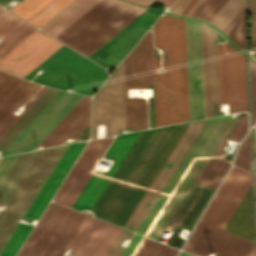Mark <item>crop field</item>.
I'll return each instance as SVG.
<instances>
[{
    "instance_id": "8a807250",
    "label": "crop field",
    "mask_w": 256,
    "mask_h": 256,
    "mask_svg": "<svg viewBox=\"0 0 256 256\" xmlns=\"http://www.w3.org/2000/svg\"><path fill=\"white\" fill-rule=\"evenodd\" d=\"M189 124L142 131L93 207L95 216L124 227Z\"/></svg>"
},
{
    "instance_id": "ac0d7876",
    "label": "crop field",
    "mask_w": 256,
    "mask_h": 256,
    "mask_svg": "<svg viewBox=\"0 0 256 256\" xmlns=\"http://www.w3.org/2000/svg\"><path fill=\"white\" fill-rule=\"evenodd\" d=\"M154 88L156 126L189 120L184 20L161 16L154 24ZM165 67V73H156ZM164 72V68H157Z\"/></svg>"
},
{
    "instance_id": "34b2d1b8",
    "label": "crop field",
    "mask_w": 256,
    "mask_h": 256,
    "mask_svg": "<svg viewBox=\"0 0 256 256\" xmlns=\"http://www.w3.org/2000/svg\"><path fill=\"white\" fill-rule=\"evenodd\" d=\"M230 116L206 119L136 232L158 240L233 122Z\"/></svg>"
},
{
    "instance_id": "412701ff",
    "label": "crop field",
    "mask_w": 256,
    "mask_h": 256,
    "mask_svg": "<svg viewBox=\"0 0 256 256\" xmlns=\"http://www.w3.org/2000/svg\"><path fill=\"white\" fill-rule=\"evenodd\" d=\"M66 146L19 154L0 184V202L8 204L0 209V250L23 217Z\"/></svg>"
},
{
    "instance_id": "f4fd0767",
    "label": "crop field",
    "mask_w": 256,
    "mask_h": 256,
    "mask_svg": "<svg viewBox=\"0 0 256 256\" xmlns=\"http://www.w3.org/2000/svg\"><path fill=\"white\" fill-rule=\"evenodd\" d=\"M145 10L121 0H102L54 38L88 57Z\"/></svg>"
},
{
    "instance_id": "dd49c442",
    "label": "crop field",
    "mask_w": 256,
    "mask_h": 256,
    "mask_svg": "<svg viewBox=\"0 0 256 256\" xmlns=\"http://www.w3.org/2000/svg\"><path fill=\"white\" fill-rule=\"evenodd\" d=\"M40 66L45 70L33 81L64 90L68 86L80 88L83 90L71 87L67 90L76 93L81 91L80 93L88 95H93L108 77L106 70L65 45ZM36 69L32 70L33 72L28 76L26 75L25 79L31 80L36 74Z\"/></svg>"
},
{
    "instance_id": "e52e79f7",
    "label": "crop field",
    "mask_w": 256,
    "mask_h": 256,
    "mask_svg": "<svg viewBox=\"0 0 256 256\" xmlns=\"http://www.w3.org/2000/svg\"><path fill=\"white\" fill-rule=\"evenodd\" d=\"M85 218L51 202L17 256H62Z\"/></svg>"
},
{
    "instance_id": "d8731c3e",
    "label": "crop field",
    "mask_w": 256,
    "mask_h": 256,
    "mask_svg": "<svg viewBox=\"0 0 256 256\" xmlns=\"http://www.w3.org/2000/svg\"><path fill=\"white\" fill-rule=\"evenodd\" d=\"M97 124H105L106 136L126 128L123 61L94 97L91 137H96Z\"/></svg>"
},
{
    "instance_id": "5a996713",
    "label": "crop field",
    "mask_w": 256,
    "mask_h": 256,
    "mask_svg": "<svg viewBox=\"0 0 256 256\" xmlns=\"http://www.w3.org/2000/svg\"><path fill=\"white\" fill-rule=\"evenodd\" d=\"M183 250L197 256H255L253 241L201 220Z\"/></svg>"
},
{
    "instance_id": "3316defc",
    "label": "crop field",
    "mask_w": 256,
    "mask_h": 256,
    "mask_svg": "<svg viewBox=\"0 0 256 256\" xmlns=\"http://www.w3.org/2000/svg\"><path fill=\"white\" fill-rule=\"evenodd\" d=\"M82 97L60 91L0 155L26 151L38 144Z\"/></svg>"
},
{
    "instance_id": "28ad6ade",
    "label": "crop field",
    "mask_w": 256,
    "mask_h": 256,
    "mask_svg": "<svg viewBox=\"0 0 256 256\" xmlns=\"http://www.w3.org/2000/svg\"><path fill=\"white\" fill-rule=\"evenodd\" d=\"M220 103H228L230 113L247 109L245 56L229 42L218 45Z\"/></svg>"
},
{
    "instance_id": "d1516ede",
    "label": "crop field",
    "mask_w": 256,
    "mask_h": 256,
    "mask_svg": "<svg viewBox=\"0 0 256 256\" xmlns=\"http://www.w3.org/2000/svg\"><path fill=\"white\" fill-rule=\"evenodd\" d=\"M63 45L36 29L0 59V69L24 78Z\"/></svg>"
},
{
    "instance_id": "22f410ed",
    "label": "crop field",
    "mask_w": 256,
    "mask_h": 256,
    "mask_svg": "<svg viewBox=\"0 0 256 256\" xmlns=\"http://www.w3.org/2000/svg\"><path fill=\"white\" fill-rule=\"evenodd\" d=\"M190 120L205 117L201 24L185 20Z\"/></svg>"
},
{
    "instance_id": "cbeb9de0",
    "label": "crop field",
    "mask_w": 256,
    "mask_h": 256,
    "mask_svg": "<svg viewBox=\"0 0 256 256\" xmlns=\"http://www.w3.org/2000/svg\"><path fill=\"white\" fill-rule=\"evenodd\" d=\"M125 84H147L145 37L124 59ZM127 88L147 85H125L126 103H146L142 98H127ZM127 128H147L146 104H126Z\"/></svg>"
},
{
    "instance_id": "5142ce71",
    "label": "crop field",
    "mask_w": 256,
    "mask_h": 256,
    "mask_svg": "<svg viewBox=\"0 0 256 256\" xmlns=\"http://www.w3.org/2000/svg\"><path fill=\"white\" fill-rule=\"evenodd\" d=\"M112 139L113 137H108L89 141L87 147L55 194L54 201L71 207Z\"/></svg>"
},
{
    "instance_id": "d9b57169",
    "label": "crop field",
    "mask_w": 256,
    "mask_h": 256,
    "mask_svg": "<svg viewBox=\"0 0 256 256\" xmlns=\"http://www.w3.org/2000/svg\"><path fill=\"white\" fill-rule=\"evenodd\" d=\"M159 14L148 9L88 58L103 67H115Z\"/></svg>"
},
{
    "instance_id": "733c2abd",
    "label": "crop field",
    "mask_w": 256,
    "mask_h": 256,
    "mask_svg": "<svg viewBox=\"0 0 256 256\" xmlns=\"http://www.w3.org/2000/svg\"><path fill=\"white\" fill-rule=\"evenodd\" d=\"M251 182V174L232 167L201 220L223 228Z\"/></svg>"
},
{
    "instance_id": "4a817a6b",
    "label": "crop field",
    "mask_w": 256,
    "mask_h": 256,
    "mask_svg": "<svg viewBox=\"0 0 256 256\" xmlns=\"http://www.w3.org/2000/svg\"><path fill=\"white\" fill-rule=\"evenodd\" d=\"M120 231L121 228L87 216L69 245L74 249L71 256H105Z\"/></svg>"
},
{
    "instance_id": "bc2a9ffb",
    "label": "crop field",
    "mask_w": 256,
    "mask_h": 256,
    "mask_svg": "<svg viewBox=\"0 0 256 256\" xmlns=\"http://www.w3.org/2000/svg\"><path fill=\"white\" fill-rule=\"evenodd\" d=\"M204 121L205 119L198 120V122L197 121L191 122L188 129L182 136L181 140L173 150L172 154L170 155V157L162 167L161 171L155 178L154 182L146 192L145 196L137 206L136 210L128 220L127 224L125 225V228L135 231L138 224L144 217L145 213L149 209L150 205L156 198L157 194L163 187L164 183L168 179L169 175L171 174L176 164L178 163V161L180 160V158L188 148L189 144L195 137L196 133L198 132V130L200 129ZM196 122H197V125L194 126Z\"/></svg>"
},
{
    "instance_id": "214f88e0",
    "label": "crop field",
    "mask_w": 256,
    "mask_h": 256,
    "mask_svg": "<svg viewBox=\"0 0 256 256\" xmlns=\"http://www.w3.org/2000/svg\"><path fill=\"white\" fill-rule=\"evenodd\" d=\"M140 133L141 131L121 134L114 139L106 155L115 157L117 160L115 161L106 177L93 173L90 180L73 205V208L79 210L84 208H92Z\"/></svg>"
},
{
    "instance_id": "92a150f3",
    "label": "crop field",
    "mask_w": 256,
    "mask_h": 256,
    "mask_svg": "<svg viewBox=\"0 0 256 256\" xmlns=\"http://www.w3.org/2000/svg\"><path fill=\"white\" fill-rule=\"evenodd\" d=\"M213 191L214 188L194 183L167 226V229L174 231L167 244L178 248L181 247L184 240L178 237V231L181 227L191 229Z\"/></svg>"
},
{
    "instance_id": "dafd665d",
    "label": "crop field",
    "mask_w": 256,
    "mask_h": 256,
    "mask_svg": "<svg viewBox=\"0 0 256 256\" xmlns=\"http://www.w3.org/2000/svg\"><path fill=\"white\" fill-rule=\"evenodd\" d=\"M85 144L86 142L68 145L67 149L25 214V217L38 220L41 212L72 165V160L76 159Z\"/></svg>"
},
{
    "instance_id": "00972430",
    "label": "crop field",
    "mask_w": 256,
    "mask_h": 256,
    "mask_svg": "<svg viewBox=\"0 0 256 256\" xmlns=\"http://www.w3.org/2000/svg\"><path fill=\"white\" fill-rule=\"evenodd\" d=\"M90 104L91 98L84 96L40 144L47 147L60 144L66 138L74 139L89 124ZM40 144L36 148H41Z\"/></svg>"
},
{
    "instance_id": "a9b5d70f",
    "label": "crop field",
    "mask_w": 256,
    "mask_h": 256,
    "mask_svg": "<svg viewBox=\"0 0 256 256\" xmlns=\"http://www.w3.org/2000/svg\"><path fill=\"white\" fill-rule=\"evenodd\" d=\"M238 123V122H237ZM235 127L234 124L230 127L227 135L232 131ZM248 131V123H247V114L239 121L233 131L229 136H225L219 147L211 157L210 161L202 171L201 175L197 179L196 183H200L203 185H207L210 187H216L219 180L227 170L230 163L226 162V160L222 156L223 148L226 144V139L229 138L234 141H239L243 135Z\"/></svg>"
},
{
    "instance_id": "4177f3b9",
    "label": "crop field",
    "mask_w": 256,
    "mask_h": 256,
    "mask_svg": "<svg viewBox=\"0 0 256 256\" xmlns=\"http://www.w3.org/2000/svg\"><path fill=\"white\" fill-rule=\"evenodd\" d=\"M23 1V0H22ZM73 0H24L10 12L40 27Z\"/></svg>"
},
{
    "instance_id": "730fd06b",
    "label": "crop field",
    "mask_w": 256,
    "mask_h": 256,
    "mask_svg": "<svg viewBox=\"0 0 256 256\" xmlns=\"http://www.w3.org/2000/svg\"><path fill=\"white\" fill-rule=\"evenodd\" d=\"M35 85L0 71V121Z\"/></svg>"
},
{
    "instance_id": "eef30255",
    "label": "crop field",
    "mask_w": 256,
    "mask_h": 256,
    "mask_svg": "<svg viewBox=\"0 0 256 256\" xmlns=\"http://www.w3.org/2000/svg\"><path fill=\"white\" fill-rule=\"evenodd\" d=\"M205 36L207 59L208 106L210 117L211 103L219 102L217 45H214L213 42V40H217V32L205 26Z\"/></svg>"
},
{
    "instance_id": "ae1a2a85",
    "label": "crop field",
    "mask_w": 256,
    "mask_h": 256,
    "mask_svg": "<svg viewBox=\"0 0 256 256\" xmlns=\"http://www.w3.org/2000/svg\"><path fill=\"white\" fill-rule=\"evenodd\" d=\"M36 28L10 15L0 23V58Z\"/></svg>"
},
{
    "instance_id": "d3111659",
    "label": "crop field",
    "mask_w": 256,
    "mask_h": 256,
    "mask_svg": "<svg viewBox=\"0 0 256 256\" xmlns=\"http://www.w3.org/2000/svg\"><path fill=\"white\" fill-rule=\"evenodd\" d=\"M99 1L100 0H76L63 12L42 27L41 30L51 36L57 35Z\"/></svg>"
},
{
    "instance_id": "750c4746",
    "label": "crop field",
    "mask_w": 256,
    "mask_h": 256,
    "mask_svg": "<svg viewBox=\"0 0 256 256\" xmlns=\"http://www.w3.org/2000/svg\"><path fill=\"white\" fill-rule=\"evenodd\" d=\"M58 92H59L58 90L48 88L41 95V97L24 113V115L0 139V148L4 149Z\"/></svg>"
},
{
    "instance_id": "bd1437ed",
    "label": "crop field",
    "mask_w": 256,
    "mask_h": 256,
    "mask_svg": "<svg viewBox=\"0 0 256 256\" xmlns=\"http://www.w3.org/2000/svg\"><path fill=\"white\" fill-rule=\"evenodd\" d=\"M40 85L36 84L28 94L9 112V114L0 122V138L5 134V132L22 116V114L39 98V96L47 89V87L43 86L33 97H31L26 105L24 106V110L18 115L12 114L14 110L22 104L33 94V92L39 87ZM37 91V90H36ZM35 91V92H36ZM34 92V93H35Z\"/></svg>"
},
{
    "instance_id": "1d83c4d3",
    "label": "crop field",
    "mask_w": 256,
    "mask_h": 256,
    "mask_svg": "<svg viewBox=\"0 0 256 256\" xmlns=\"http://www.w3.org/2000/svg\"><path fill=\"white\" fill-rule=\"evenodd\" d=\"M33 226L19 223L5 246L0 252V256H15L23 241L29 234Z\"/></svg>"
},
{
    "instance_id": "120bbe31",
    "label": "crop field",
    "mask_w": 256,
    "mask_h": 256,
    "mask_svg": "<svg viewBox=\"0 0 256 256\" xmlns=\"http://www.w3.org/2000/svg\"><path fill=\"white\" fill-rule=\"evenodd\" d=\"M176 252L175 248L146 238L136 256H175Z\"/></svg>"
},
{
    "instance_id": "d32e631a",
    "label": "crop field",
    "mask_w": 256,
    "mask_h": 256,
    "mask_svg": "<svg viewBox=\"0 0 256 256\" xmlns=\"http://www.w3.org/2000/svg\"><path fill=\"white\" fill-rule=\"evenodd\" d=\"M242 5L243 0H228L210 23L222 30Z\"/></svg>"
},
{
    "instance_id": "5866460e",
    "label": "crop field",
    "mask_w": 256,
    "mask_h": 256,
    "mask_svg": "<svg viewBox=\"0 0 256 256\" xmlns=\"http://www.w3.org/2000/svg\"><path fill=\"white\" fill-rule=\"evenodd\" d=\"M226 1L227 0H203L191 17L194 15L196 18L210 22Z\"/></svg>"
},
{
    "instance_id": "028f5c9d",
    "label": "crop field",
    "mask_w": 256,
    "mask_h": 256,
    "mask_svg": "<svg viewBox=\"0 0 256 256\" xmlns=\"http://www.w3.org/2000/svg\"><path fill=\"white\" fill-rule=\"evenodd\" d=\"M250 144H249V134L246 136L244 141L241 143L234 165L250 171Z\"/></svg>"
},
{
    "instance_id": "e1f06a70",
    "label": "crop field",
    "mask_w": 256,
    "mask_h": 256,
    "mask_svg": "<svg viewBox=\"0 0 256 256\" xmlns=\"http://www.w3.org/2000/svg\"><path fill=\"white\" fill-rule=\"evenodd\" d=\"M230 40L244 51V27L243 16L227 35Z\"/></svg>"
},
{
    "instance_id": "0bd39190",
    "label": "crop field",
    "mask_w": 256,
    "mask_h": 256,
    "mask_svg": "<svg viewBox=\"0 0 256 256\" xmlns=\"http://www.w3.org/2000/svg\"><path fill=\"white\" fill-rule=\"evenodd\" d=\"M145 240V237L140 236L138 234H134L128 247L122 250L121 254L119 256H135L138 249L142 245L143 241Z\"/></svg>"
},
{
    "instance_id": "b80d0937",
    "label": "crop field",
    "mask_w": 256,
    "mask_h": 256,
    "mask_svg": "<svg viewBox=\"0 0 256 256\" xmlns=\"http://www.w3.org/2000/svg\"><path fill=\"white\" fill-rule=\"evenodd\" d=\"M146 48H147V72L148 84H153V65H152V39L151 31L146 34Z\"/></svg>"
},
{
    "instance_id": "c035e120",
    "label": "crop field",
    "mask_w": 256,
    "mask_h": 256,
    "mask_svg": "<svg viewBox=\"0 0 256 256\" xmlns=\"http://www.w3.org/2000/svg\"><path fill=\"white\" fill-rule=\"evenodd\" d=\"M131 234V232L122 229L106 256H118L123 249V247L120 246L122 241L129 238Z\"/></svg>"
},
{
    "instance_id": "c21b1889",
    "label": "crop field",
    "mask_w": 256,
    "mask_h": 256,
    "mask_svg": "<svg viewBox=\"0 0 256 256\" xmlns=\"http://www.w3.org/2000/svg\"><path fill=\"white\" fill-rule=\"evenodd\" d=\"M17 155H11V156H6L2 157L0 160V182L4 178L5 174L13 164L14 160L16 159Z\"/></svg>"
},
{
    "instance_id": "03da06ac",
    "label": "crop field",
    "mask_w": 256,
    "mask_h": 256,
    "mask_svg": "<svg viewBox=\"0 0 256 256\" xmlns=\"http://www.w3.org/2000/svg\"><path fill=\"white\" fill-rule=\"evenodd\" d=\"M202 35H203L204 82H205V106H206V117H208L207 83H206V59H205V36H204V25L203 24H202Z\"/></svg>"
},
{
    "instance_id": "b54c1fbb",
    "label": "crop field",
    "mask_w": 256,
    "mask_h": 256,
    "mask_svg": "<svg viewBox=\"0 0 256 256\" xmlns=\"http://www.w3.org/2000/svg\"><path fill=\"white\" fill-rule=\"evenodd\" d=\"M243 15V6L241 9L236 13V15L230 20V22L225 26V28L222 30L226 35L228 32L232 29V27L237 23V21L241 18Z\"/></svg>"
},
{
    "instance_id": "5d738f31",
    "label": "crop field",
    "mask_w": 256,
    "mask_h": 256,
    "mask_svg": "<svg viewBox=\"0 0 256 256\" xmlns=\"http://www.w3.org/2000/svg\"><path fill=\"white\" fill-rule=\"evenodd\" d=\"M191 0H177L176 3L170 8L171 12L181 14L184 8Z\"/></svg>"
},
{
    "instance_id": "d23c7cc5",
    "label": "crop field",
    "mask_w": 256,
    "mask_h": 256,
    "mask_svg": "<svg viewBox=\"0 0 256 256\" xmlns=\"http://www.w3.org/2000/svg\"><path fill=\"white\" fill-rule=\"evenodd\" d=\"M248 9L253 13L252 21L256 18V0H248Z\"/></svg>"
},
{
    "instance_id": "425ffa30",
    "label": "crop field",
    "mask_w": 256,
    "mask_h": 256,
    "mask_svg": "<svg viewBox=\"0 0 256 256\" xmlns=\"http://www.w3.org/2000/svg\"><path fill=\"white\" fill-rule=\"evenodd\" d=\"M251 36H252V44L256 40V19L251 24Z\"/></svg>"
},
{
    "instance_id": "25e5ab78",
    "label": "crop field",
    "mask_w": 256,
    "mask_h": 256,
    "mask_svg": "<svg viewBox=\"0 0 256 256\" xmlns=\"http://www.w3.org/2000/svg\"><path fill=\"white\" fill-rule=\"evenodd\" d=\"M202 0H197L196 3L191 7V9L187 12V16H190L193 11L197 8V6L200 4Z\"/></svg>"
},
{
    "instance_id": "73cf0c24",
    "label": "crop field",
    "mask_w": 256,
    "mask_h": 256,
    "mask_svg": "<svg viewBox=\"0 0 256 256\" xmlns=\"http://www.w3.org/2000/svg\"><path fill=\"white\" fill-rule=\"evenodd\" d=\"M130 1H133V2L140 3V4H143V5L148 6V5H149L150 3H152L154 0H130Z\"/></svg>"
},
{
    "instance_id": "89e229c0",
    "label": "crop field",
    "mask_w": 256,
    "mask_h": 256,
    "mask_svg": "<svg viewBox=\"0 0 256 256\" xmlns=\"http://www.w3.org/2000/svg\"><path fill=\"white\" fill-rule=\"evenodd\" d=\"M8 15H10V13L0 8V22L4 20Z\"/></svg>"
},
{
    "instance_id": "1f2cbd36",
    "label": "crop field",
    "mask_w": 256,
    "mask_h": 256,
    "mask_svg": "<svg viewBox=\"0 0 256 256\" xmlns=\"http://www.w3.org/2000/svg\"><path fill=\"white\" fill-rule=\"evenodd\" d=\"M158 1L164 4L165 6H170L175 0H158Z\"/></svg>"
},
{
    "instance_id": "dbb93151",
    "label": "crop field",
    "mask_w": 256,
    "mask_h": 256,
    "mask_svg": "<svg viewBox=\"0 0 256 256\" xmlns=\"http://www.w3.org/2000/svg\"><path fill=\"white\" fill-rule=\"evenodd\" d=\"M196 0H192L191 3L187 6V8L183 11V15L186 14V12L190 9V7L195 3Z\"/></svg>"
},
{
    "instance_id": "0fb4a251",
    "label": "crop field",
    "mask_w": 256,
    "mask_h": 256,
    "mask_svg": "<svg viewBox=\"0 0 256 256\" xmlns=\"http://www.w3.org/2000/svg\"><path fill=\"white\" fill-rule=\"evenodd\" d=\"M252 56L254 58H256V48L255 47H253V49H252Z\"/></svg>"
},
{
    "instance_id": "1d79db26",
    "label": "crop field",
    "mask_w": 256,
    "mask_h": 256,
    "mask_svg": "<svg viewBox=\"0 0 256 256\" xmlns=\"http://www.w3.org/2000/svg\"><path fill=\"white\" fill-rule=\"evenodd\" d=\"M179 256H192V255L187 254V253H185V252H181V254H180Z\"/></svg>"
},
{
    "instance_id": "9d1cf04e",
    "label": "crop field",
    "mask_w": 256,
    "mask_h": 256,
    "mask_svg": "<svg viewBox=\"0 0 256 256\" xmlns=\"http://www.w3.org/2000/svg\"><path fill=\"white\" fill-rule=\"evenodd\" d=\"M6 1H8V0H0V3H5ZM21 1V0H20Z\"/></svg>"
},
{
    "instance_id": "447ae74e",
    "label": "crop field",
    "mask_w": 256,
    "mask_h": 256,
    "mask_svg": "<svg viewBox=\"0 0 256 256\" xmlns=\"http://www.w3.org/2000/svg\"><path fill=\"white\" fill-rule=\"evenodd\" d=\"M255 140H256V127H255Z\"/></svg>"
}]
</instances>
